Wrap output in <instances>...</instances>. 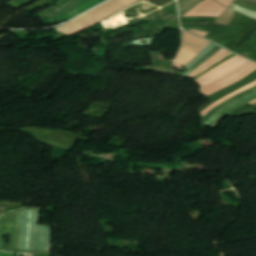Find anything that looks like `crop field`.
I'll use <instances>...</instances> for the list:
<instances>
[{"label":"crop field","mask_w":256,"mask_h":256,"mask_svg":"<svg viewBox=\"0 0 256 256\" xmlns=\"http://www.w3.org/2000/svg\"><path fill=\"white\" fill-rule=\"evenodd\" d=\"M11 211L0 217V250L12 252L50 253V251L20 250L23 210ZM40 211H24L21 249L50 250V227L37 226ZM10 234L9 250L2 249L3 237Z\"/></svg>","instance_id":"crop-field-1"},{"label":"crop field","mask_w":256,"mask_h":256,"mask_svg":"<svg viewBox=\"0 0 256 256\" xmlns=\"http://www.w3.org/2000/svg\"><path fill=\"white\" fill-rule=\"evenodd\" d=\"M137 1L139 0H112L56 30L71 35L115 14Z\"/></svg>","instance_id":"crop-field-2"},{"label":"crop field","mask_w":256,"mask_h":256,"mask_svg":"<svg viewBox=\"0 0 256 256\" xmlns=\"http://www.w3.org/2000/svg\"><path fill=\"white\" fill-rule=\"evenodd\" d=\"M103 1L105 0H71L59 10L44 15L41 18L46 24L57 23L64 19L69 20Z\"/></svg>","instance_id":"crop-field-3"},{"label":"crop field","mask_w":256,"mask_h":256,"mask_svg":"<svg viewBox=\"0 0 256 256\" xmlns=\"http://www.w3.org/2000/svg\"><path fill=\"white\" fill-rule=\"evenodd\" d=\"M248 60L239 58L237 56L231 58L230 60L222 63L218 67L214 68L201 78H199L198 81L203 87L209 85L210 83L218 80L222 76L236 70L239 68L241 65L246 63Z\"/></svg>","instance_id":"crop-field-4"},{"label":"crop field","mask_w":256,"mask_h":256,"mask_svg":"<svg viewBox=\"0 0 256 256\" xmlns=\"http://www.w3.org/2000/svg\"><path fill=\"white\" fill-rule=\"evenodd\" d=\"M223 6L213 0H206L184 16H210L219 17L225 10Z\"/></svg>","instance_id":"crop-field-5"},{"label":"crop field","mask_w":256,"mask_h":256,"mask_svg":"<svg viewBox=\"0 0 256 256\" xmlns=\"http://www.w3.org/2000/svg\"><path fill=\"white\" fill-rule=\"evenodd\" d=\"M183 35H184V43H183V47L197 51V52H201L208 44H210V42L203 40L199 37H196L192 34H189L185 31H183Z\"/></svg>","instance_id":"crop-field-6"},{"label":"crop field","mask_w":256,"mask_h":256,"mask_svg":"<svg viewBox=\"0 0 256 256\" xmlns=\"http://www.w3.org/2000/svg\"><path fill=\"white\" fill-rule=\"evenodd\" d=\"M198 53L182 48L179 56L177 57L174 65L181 69L182 65H186L191 61Z\"/></svg>","instance_id":"crop-field-7"},{"label":"crop field","mask_w":256,"mask_h":256,"mask_svg":"<svg viewBox=\"0 0 256 256\" xmlns=\"http://www.w3.org/2000/svg\"><path fill=\"white\" fill-rule=\"evenodd\" d=\"M255 90H256V86H255L254 88H252V89H250V90H248V91L242 92V93L236 95L235 97H233L232 99H230V100H228V101H226V102L220 104L219 106H217L216 108H214L210 113H208L202 120L206 123V122L208 121V119H209L214 113H216L219 109H221V108L224 107L225 105H227V104H229V103H231V102H233V101H235V100H237V99H239V98H241V97H243V96H245V95H247V94H249V93H251V92H253V91H255Z\"/></svg>","instance_id":"crop-field-8"},{"label":"crop field","mask_w":256,"mask_h":256,"mask_svg":"<svg viewBox=\"0 0 256 256\" xmlns=\"http://www.w3.org/2000/svg\"><path fill=\"white\" fill-rule=\"evenodd\" d=\"M227 52H229V51H227L225 49L220 50L218 53H216L214 56H212L210 59H208L206 62H204L201 66H199L197 69H195L188 77H194L197 73H199L201 70H203L208 65L215 62L217 59H219L220 57L225 55Z\"/></svg>","instance_id":"crop-field-9"},{"label":"crop field","mask_w":256,"mask_h":256,"mask_svg":"<svg viewBox=\"0 0 256 256\" xmlns=\"http://www.w3.org/2000/svg\"><path fill=\"white\" fill-rule=\"evenodd\" d=\"M255 85H256V80L254 82H252L251 84L247 85L246 87H244V88H242V89H240V90H238V91H236V92H234V93H232V94H230V95H228V96L218 100L217 102H215L213 105H211L210 107H208L206 110H204L202 112L203 116H205L215 106L219 105L220 103L224 102L225 100L229 99L230 97H232V96H234V95H236V94H238V93H240V92H242L244 90H247V89H249V88H251V87H253Z\"/></svg>","instance_id":"crop-field-10"},{"label":"crop field","mask_w":256,"mask_h":256,"mask_svg":"<svg viewBox=\"0 0 256 256\" xmlns=\"http://www.w3.org/2000/svg\"><path fill=\"white\" fill-rule=\"evenodd\" d=\"M178 1H179L180 15H183L188 10L193 8L195 5L200 3L202 0H178Z\"/></svg>","instance_id":"crop-field-11"},{"label":"crop field","mask_w":256,"mask_h":256,"mask_svg":"<svg viewBox=\"0 0 256 256\" xmlns=\"http://www.w3.org/2000/svg\"><path fill=\"white\" fill-rule=\"evenodd\" d=\"M254 70H256V65L253 68H251L250 70H248L247 72H245L244 74H242L241 76H239L238 78H236L235 80H233V81H231V82H229V83H227L225 85H222V86H220V87H218V88H216V89H214V90H212V91H210V92H208L206 94L208 96H210V95H212V94H214V93H216V92H218V91H220V90H222V89H224V88H226V87H228V86H230V85L240 81L241 79H243L244 77H246L247 75L252 73Z\"/></svg>","instance_id":"crop-field-12"},{"label":"crop field","mask_w":256,"mask_h":256,"mask_svg":"<svg viewBox=\"0 0 256 256\" xmlns=\"http://www.w3.org/2000/svg\"><path fill=\"white\" fill-rule=\"evenodd\" d=\"M255 94H256V91L253 92V93H251V94H249V95H247V96H245V97H243V98H241L240 100H238V101H236V102H234V103H232V104H230V105H228V106L222 108L220 111H218L216 114H214V115L210 118V120L207 122V124L210 125V124H211L219 115H221L223 112H225V111L228 110L229 108L233 107L234 105H236V104H238V103H240V102H242V101H244V100H246V99H248V98L254 96Z\"/></svg>","instance_id":"crop-field-13"},{"label":"crop field","mask_w":256,"mask_h":256,"mask_svg":"<svg viewBox=\"0 0 256 256\" xmlns=\"http://www.w3.org/2000/svg\"><path fill=\"white\" fill-rule=\"evenodd\" d=\"M219 49H221V48L216 46L205 57H203L200 61H198L194 66H192L183 76L186 77L187 75H189L196 67H198L200 64H202L204 61H206L209 57H211Z\"/></svg>","instance_id":"crop-field-14"},{"label":"crop field","mask_w":256,"mask_h":256,"mask_svg":"<svg viewBox=\"0 0 256 256\" xmlns=\"http://www.w3.org/2000/svg\"><path fill=\"white\" fill-rule=\"evenodd\" d=\"M254 99H256V96H254V97H252V98L246 100L245 102H243V103H241V104H239V105H237V106H235V107L229 109L228 111H226L225 113H223L221 116H219V117L211 124V126L215 127V126L222 120V118H223L224 116H226V115L229 114L231 111H233V110H235V109H237V108H239V107H241V106L247 104L248 102H250V101H252V100H254Z\"/></svg>","instance_id":"crop-field-15"},{"label":"crop field","mask_w":256,"mask_h":256,"mask_svg":"<svg viewBox=\"0 0 256 256\" xmlns=\"http://www.w3.org/2000/svg\"><path fill=\"white\" fill-rule=\"evenodd\" d=\"M31 1H33V0H26V1H24V2H22V3H20V4H18V5H16V7H20V6H22V5H25V4L29 3V2H31ZM68 1H69V0H60V1L57 3L59 6L53 7V8H51V9L47 10V11H44V12H42V13H39V15L41 16V15H43V14L50 13V12H52V11H54V10L60 8L62 5H64V4H65L66 2H68Z\"/></svg>","instance_id":"crop-field-16"},{"label":"crop field","mask_w":256,"mask_h":256,"mask_svg":"<svg viewBox=\"0 0 256 256\" xmlns=\"http://www.w3.org/2000/svg\"><path fill=\"white\" fill-rule=\"evenodd\" d=\"M216 45L210 44L208 47H206L197 57H195L191 62H189L186 67L189 69L192 65H194L202 56H204L209 50H211Z\"/></svg>","instance_id":"crop-field-17"},{"label":"crop field","mask_w":256,"mask_h":256,"mask_svg":"<svg viewBox=\"0 0 256 256\" xmlns=\"http://www.w3.org/2000/svg\"><path fill=\"white\" fill-rule=\"evenodd\" d=\"M254 65H255V63L251 64L250 66L246 67L245 69H243L242 71L238 72L237 74L231 76L230 78L226 79L225 81H223V82H221V83H219V84H217V85H215V86H213V87L203 91V93H205V92H207V91H209V90H211V89H213V88H215L217 86H220V85H222V84H224V83H226V82H228V81L238 77L239 75H241L242 73H244L245 71H247L248 69H250Z\"/></svg>","instance_id":"crop-field-18"},{"label":"crop field","mask_w":256,"mask_h":256,"mask_svg":"<svg viewBox=\"0 0 256 256\" xmlns=\"http://www.w3.org/2000/svg\"><path fill=\"white\" fill-rule=\"evenodd\" d=\"M144 68L149 69V70H153V71H157V72H163V73H169V74H172V73H171V68H164V67H151V66L144 67Z\"/></svg>","instance_id":"crop-field-19"},{"label":"crop field","mask_w":256,"mask_h":256,"mask_svg":"<svg viewBox=\"0 0 256 256\" xmlns=\"http://www.w3.org/2000/svg\"><path fill=\"white\" fill-rule=\"evenodd\" d=\"M155 38H151V39H144V40H147L148 42L146 44H142L141 41L143 40H138V41H134L126 46H123V47H129L130 45H144V46H149L153 41H154Z\"/></svg>","instance_id":"crop-field-20"},{"label":"crop field","mask_w":256,"mask_h":256,"mask_svg":"<svg viewBox=\"0 0 256 256\" xmlns=\"http://www.w3.org/2000/svg\"><path fill=\"white\" fill-rule=\"evenodd\" d=\"M216 1H218L219 3H221V4H223L224 6L227 7V5L229 3H231L233 0H216Z\"/></svg>","instance_id":"crop-field-21"},{"label":"crop field","mask_w":256,"mask_h":256,"mask_svg":"<svg viewBox=\"0 0 256 256\" xmlns=\"http://www.w3.org/2000/svg\"><path fill=\"white\" fill-rule=\"evenodd\" d=\"M189 31H192V32H194L196 34H199V35L203 36V37H205L206 34H207L206 32H202V31H198V30H189Z\"/></svg>","instance_id":"crop-field-22"},{"label":"crop field","mask_w":256,"mask_h":256,"mask_svg":"<svg viewBox=\"0 0 256 256\" xmlns=\"http://www.w3.org/2000/svg\"><path fill=\"white\" fill-rule=\"evenodd\" d=\"M241 1H244L250 5L256 6V0H241Z\"/></svg>","instance_id":"crop-field-23"},{"label":"crop field","mask_w":256,"mask_h":256,"mask_svg":"<svg viewBox=\"0 0 256 256\" xmlns=\"http://www.w3.org/2000/svg\"><path fill=\"white\" fill-rule=\"evenodd\" d=\"M21 1H23V0H19L18 2L12 4V6L16 5L17 3L21 2Z\"/></svg>","instance_id":"crop-field-24"},{"label":"crop field","mask_w":256,"mask_h":256,"mask_svg":"<svg viewBox=\"0 0 256 256\" xmlns=\"http://www.w3.org/2000/svg\"><path fill=\"white\" fill-rule=\"evenodd\" d=\"M254 102H256V100H255V101H253V102H251L250 104H252V103H254Z\"/></svg>","instance_id":"crop-field-25"},{"label":"crop field","mask_w":256,"mask_h":256,"mask_svg":"<svg viewBox=\"0 0 256 256\" xmlns=\"http://www.w3.org/2000/svg\"><path fill=\"white\" fill-rule=\"evenodd\" d=\"M253 105H255V106H256V103H255V104H253Z\"/></svg>","instance_id":"crop-field-26"},{"label":"crop field","mask_w":256,"mask_h":256,"mask_svg":"<svg viewBox=\"0 0 256 256\" xmlns=\"http://www.w3.org/2000/svg\"><path fill=\"white\" fill-rule=\"evenodd\" d=\"M249 62H250V61H249ZM247 63H248V62H247ZM247 63H246V64H247ZM243 66H244V65H243Z\"/></svg>","instance_id":"crop-field-27"}]
</instances>
